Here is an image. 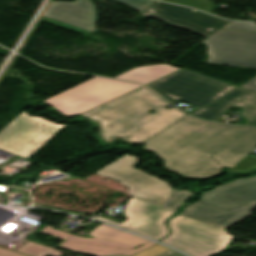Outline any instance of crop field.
<instances>
[{"mask_svg": "<svg viewBox=\"0 0 256 256\" xmlns=\"http://www.w3.org/2000/svg\"><path fill=\"white\" fill-rule=\"evenodd\" d=\"M164 167L184 177L209 178L256 148V128L197 120L189 115L144 142Z\"/></svg>", "mask_w": 256, "mask_h": 256, "instance_id": "8a807250", "label": "crop field"}, {"mask_svg": "<svg viewBox=\"0 0 256 256\" xmlns=\"http://www.w3.org/2000/svg\"><path fill=\"white\" fill-rule=\"evenodd\" d=\"M169 104L142 86L82 116L101 124L99 133L104 141L109 143L120 136L123 140L139 145L187 115L176 107L163 108ZM150 109H155L156 113H147Z\"/></svg>", "mask_w": 256, "mask_h": 256, "instance_id": "ac0d7876", "label": "crop field"}, {"mask_svg": "<svg viewBox=\"0 0 256 256\" xmlns=\"http://www.w3.org/2000/svg\"><path fill=\"white\" fill-rule=\"evenodd\" d=\"M256 209V177L239 179L203 194L182 215L225 229Z\"/></svg>", "mask_w": 256, "mask_h": 256, "instance_id": "34b2d1b8", "label": "crop field"}, {"mask_svg": "<svg viewBox=\"0 0 256 256\" xmlns=\"http://www.w3.org/2000/svg\"><path fill=\"white\" fill-rule=\"evenodd\" d=\"M142 85L95 77L46 100L65 116H76Z\"/></svg>", "mask_w": 256, "mask_h": 256, "instance_id": "412701ff", "label": "crop field"}, {"mask_svg": "<svg viewBox=\"0 0 256 256\" xmlns=\"http://www.w3.org/2000/svg\"><path fill=\"white\" fill-rule=\"evenodd\" d=\"M147 86L174 103L181 100L198 107L189 113L194 115L232 85L186 69H180L147 84Z\"/></svg>", "mask_w": 256, "mask_h": 256, "instance_id": "f4fd0767", "label": "crop field"}, {"mask_svg": "<svg viewBox=\"0 0 256 256\" xmlns=\"http://www.w3.org/2000/svg\"><path fill=\"white\" fill-rule=\"evenodd\" d=\"M168 226L172 234L161 242L191 256H211L219 253L235 239L225 230L182 215L170 220Z\"/></svg>", "mask_w": 256, "mask_h": 256, "instance_id": "dd49c442", "label": "crop field"}, {"mask_svg": "<svg viewBox=\"0 0 256 256\" xmlns=\"http://www.w3.org/2000/svg\"><path fill=\"white\" fill-rule=\"evenodd\" d=\"M63 127L22 112L0 132V149L28 159Z\"/></svg>", "mask_w": 256, "mask_h": 256, "instance_id": "e52e79f7", "label": "crop field"}, {"mask_svg": "<svg viewBox=\"0 0 256 256\" xmlns=\"http://www.w3.org/2000/svg\"><path fill=\"white\" fill-rule=\"evenodd\" d=\"M89 234L94 238L88 239L71 235L61 247L63 249L94 256L113 254L130 256L136 252L155 245V243L147 239L111 228L103 224ZM141 244H144V246L132 250Z\"/></svg>", "mask_w": 256, "mask_h": 256, "instance_id": "d8731c3e", "label": "crop field"}, {"mask_svg": "<svg viewBox=\"0 0 256 256\" xmlns=\"http://www.w3.org/2000/svg\"><path fill=\"white\" fill-rule=\"evenodd\" d=\"M206 63L256 69V34L218 30L203 42Z\"/></svg>", "mask_w": 256, "mask_h": 256, "instance_id": "5a996713", "label": "crop field"}, {"mask_svg": "<svg viewBox=\"0 0 256 256\" xmlns=\"http://www.w3.org/2000/svg\"><path fill=\"white\" fill-rule=\"evenodd\" d=\"M137 164L136 157L126 154L97 174L122 182L132 195L163 205L171 193L168 183L137 170Z\"/></svg>", "mask_w": 256, "mask_h": 256, "instance_id": "3316defc", "label": "crop field"}, {"mask_svg": "<svg viewBox=\"0 0 256 256\" xmlns=\"http://www.w3.org/2000/svg\"><path fill=\"white\" fill-rule=\"evenodd\" d=\"M160 208L131 197L124 210L127 219L121 224L100 216L96 219L158 240L168 235L164 223L169 216L175 214Z\"/></svg>", "mask_w": 256, "mask_h": 256, "instance_id": "28ad6ade", "label": "crop field"}, {"mask_svg": "<svg viewBox=\"0 0 256 256\" xmlns=\"http://www.w3.org/2000/svg\"><path fill=\"white\" fill-rule=\"evenodd\" d=\"M190 10L155 1L142 15L158 18L169 25L188 29L205 37L210 36L229 22L199 11L193 12Z\"/></svg>", "mask_w": 256, "mask_h": 256, "instance_id": "d1516ede", "label": "crop field"}, {"mask_svg": "<svg viewBox=\"0 0 256 256\" xmlns=\"http://www.w3.org/2000/svg\"><path fill=\"white\" fill-rule=\"evenodd\" d=\"M93 4L90 0L54 2L46 8L40 21L80 34L93 32L97 20Z\"/></svg>", "mask_w": 256, "mask_h": 256, "instance_id": "22f410ed", "label": "crop field"}, {"mask_svg": "<svg viewBox=\"0 0 256 256\" xmlns=\"http://www.w3.org/2000/svg\"><path fill=\"white\" fill-rule=\"evenodd\" d=\"M232 106L242 107L241 116L250 120L245 125L256 127V93L235 86L223 92L194 116L214 121Z\"/></svg>", "mask_w": 256, "mask_h": 256, "instance_id": "cbeb9de0", "label": "crop field"}, {"mask_svg": "<svg viewBox=\"0 0 256 256\" xmlns=\"http://www.w3.org/2000/svg\"><path fill=\"white\" fill-rule=\"evenodd\" d=\"M177 69H179V68L169 66L166 64L150 65V66H143V67L135 68L126 73L118 75L114 78L147 84V83L152 82L156 79H159Z\"/></svg>", "mask_w": 256, "mask_h": 256, "instance_id": "5142ce71", "label": "crop field"}, {"mask_svg": "<svg viewBox=\"0 0 256 256\" xmlns=\"http://www.w3.org/2000/svg\"><path fill=\"white\" fill-rule=\"evenodd\" d=\"M17 251L30 256H46V255L61 256L62 255V252H59L47 247H43L31 242L27 243Z\"/></svg>", "mask_w": 256, "mask_h": 256, "instance_id": "d9b57169", "label": "crop field"}, {"mask_svg": "<svg viewBox=\"0 0 256 256\" xmlns=\"http://www.w3.org/2000/svg\"><path fill=\"white\" fill-rule=\"evenodd\" d=\"M163 1L194 7L208 13H212L213 5H214V2H209L207 0H163Z\"/></svg>", "mask_w": 256, "mask_h": 256, "instance_id": "733c2abd", "label": "crop field"}, {"mask_svg": "<svg viewBox=\"0 0 256 256\" xmlns=\"http://www.w3.org/2000/svg\"><path fill=\"white\" fill-rule=\"evenodd\" d=\"M190 192L179 191L175 192L165 209L174 211L180 204H182L188 197H190Z\"/></svg>", "mask_w": 256, "mask_h": 256, "instance_id": "4a817a6b", "label": "crop field"}, {"mask_svg": "<svg viewBox=\"0 0 256 256\" xmlns=\"http://www.w3.org/2000/svg\"><path fill=\"white\" fill-rule=\"evenodd\" d=\"M115 1L129 5L132 8L139 11H144L147 7H149L154 2V0H115Z\"/></svg>", "mask_w": 256, "mask_h": 256, "instance_id": "bc2a9ffb", "label": "crop field"}, {"mask_svg": "<svg viewBox=\"0 0 256 256\" xmlns=\"http://www.w3.org/2000/svg\"><path fill=\"white\" fill-rule=\"evenodd\" d=\"M168 250H170V249L167 247H164L160 244H157V245H155L145 251H142L134 256H157V255H160Z\"/></svg>", "mask_w": 256, "mask_h": 256, "instance_id": "214f88e0", "label": "crop field"}, {"mask_svg": "<svg viewBox=\"0 0 256 256\" xmlns=\"http://www.w3.org/2000/svg\"><path fill=\"white\" fill-rule=\"evenodd\" d=\"M223 28L225 29H235V30H245V31H255L256 32V24L255 23H236L230 22Z\"/></svg>", "mask_w": 256, "mask_h": 256, "instance_id": "92a150f3", "label": "crop field"}, {"mask_svg": "<svg viewBox=\"0 0 256 256\" xmlns=\"http://www.w3.org/2000/svg\"><path fill=\"white\" fill-rule=\"evenodd\" d=\"M51 228H52L51 226H47V227H45V229L43 231H41V233H45V234L55 236V237L65 239V240H67L68 237L70 236V234H68V233L53 230Z\"/></svg>", "mask_w": 256, "mask_h": 256, "instance_id": "dafd665d", "label": "crop field"}, {"mask_svg": "<svg viewBox=\"0 0 256 256\" xmlns=\"http://www.w3.org/2000/svg\"><path fill=\"white\" fill-rule=\"evenodd\" d=\"M242 87L256 92V77L244 84Z\"/></svg>", "mask_w": 256, "mask_h": 256, "instance_id": "00972430", "label": "crop field"}, {"mask_svg": "<svg viewBox=\"0 0 256 256\" xmlns=\"http://www.w3.org/2000/svg\"><path fill=\"white\" fill-rule=\"evenodd\" d=\"M0 256H23V255L0 249Z\"/></svg>", "mask_w": 256, "mask_h": 256, "instance_id": "a9b5d70f", "label": "crop field"}, {"mask_svg": "<svg viewBox=\"0 0 256 256\" xmlns=\"http://www.w3.org/2000/svg\"><path fill=\"white\" fill-rule=\"evenodd\" d=\"M160 256H183V255H181V254H179V253H177L173 250H170V251H168V252H166V253H164Z\"/></svg>", "mask_w": 256, "mask_h": 256, "instance_id": "4177f3b9", "label": "crop field"}, {"mask_svg": "<svg viewBox=\"0 0 256 256\" xmlns=\"http://www.w3.org/2000/svg\"><path fill=\"white\" fill-rule=\"evenodd\" d=\"M114 256H122V255H114Z\"/></svg>", "mask_w": 256, "mask_h": 256, "instance_id": "730fd06b", "label": "crop field"}]
</instances>
